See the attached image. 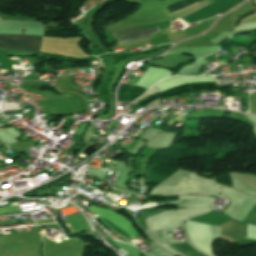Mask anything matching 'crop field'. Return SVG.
<instances>
[{
	"label": "crop field",
	"mask_w": 256,
	"mask_h": 256,
	"mask_svg": "<svg viewBox=\"0 0 256 256\" xmlns=\"http://www.w3.org/2000/svg\"><path fill=\"white\" fill-rule=\"evenodd\" d=\"M41 38L30 35H0V47L39 51Z\"/></svg>",
	"instance_id": "1"
},
{
	"label": "crop field",
	"mask_w": 256,
	"mask_h": 256,
	"mask_svg": "<svg viewBox=\"0 0 256 256\" xmlns=\"http://www.w3.org/2000/svg\"><path fill=\"white\" fill-rule=\"evenodd\" d=\"M160 31L158 25L149 26L144 28H136L123 33L116 34L120 44L133 43L144 40L158 34Z\"/></svg>",
	"instance_id": "2"
},
{
	"label": "crop field",
	"mask_w": 256,
	"mask_h": 256,
	"mask_svg": "<svg viewBox=\"0 0 256 256\" xmlns=\"http://www.w3.org/2000/svg\"><path fill=\"white\" fill-rule=\"evenodd\" d=\"M221 237L228 240H236L247 237V224L229 219L221 225Z\"/></svg>",
	"instance_id": "3"
},
{
	"label": "crop field",
	"mask_w": 256,
	"mask_h": 256,
	"mask_svg": "<svg viewBox=\"0 0 256 256\" xmlns=\"http://www.w3.org/2000/svg\"><path fill=\"white\" fill-rule=\"evenodd\" d=\"M174 249L179 251L185 256H197L199 255L198 251H196L191 245L187 242L185 243H178V244H170Z\"/></svg>",
	"instance_id": "4"
},
{
	"label": "crop field",
	"mask_w": 256,
	"mask_h": 256,
	"mask_svg": "<svg viewBox=\"0 0 256 256\" xmlns=\"http://www.w3.org/2000/svg\"><path fill=\"white\" fill-rule=\"evenodd\" d=\"M199 1H201V0H181V1H178V2H176V3H173V4H171V5L166 6V8H167L170 12H172V11H174V10H177V9L181 8V7H184V6H186V5L190 6V5H192V4H194V3H197V2H199ZM188 6H186V7H188ZM184 8H185V7H184ZM181 9H183V8H181ZM179 10H180V9H179ZM174 12H175V11H174Z\"/></svg>",
	"instance_id": "5"
},
{
	"label": "crop field",
	"mask_w": 256,
	"mask_h": 256,
	"mask_svg": "<svg viewBox=\"0 0 256 256\" xmlns=\"http://www.w3.org/2000/svg\"><path fill=\"white\" fill-rule=\"evenodd\" d=\"M130 237V236H129ZM131 238V237H130ZM133 239V238H132Z\"/></svg>",
	"instance_id": "6"
}]
</instances>
